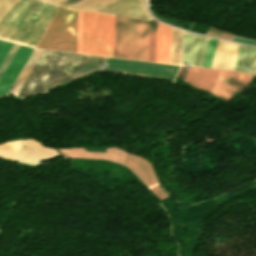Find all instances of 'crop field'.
I'll return each instance as SVG.
<instances>
[{
  "label": "crop field",
  "mask_w": 256,
  "mask_h": 256,
  "mask_svg": "<svg viewBox=\"0 0 256 256\" xmlns=\"http://www.w3.org/2000/svg\"><path fill=\"white\" fill-rule=\"evenodd\" d=\"M78 1H80V0H66V1H64V2H62L60 4L70 6V5H72V4H74V3L78 2Z\"/></svg>",
  "instance_id": "obj_25"
},
{
  "label": "crop field",
  "mask_w": 256,
  "mask_h": 256,
  "mask_svg": "<svg viewBox=\"0 0 256 256\" xmlns=\"http://www.w3.org/2000/svg\"><path fill=\"white\" fill-rule=\"evenodd\" d=\"M148 21L137 19L135 59L146 61Z\"/></svg>",
  "instance_id": "obj_15"
},
{
  "label": "crop field",
  "mask_w": 256,
  "mask_h": 256,
  "mask_svg": "<svg viewBox=\"0 0 256 256\" xmlns=\"http://www.w3.org/2000/svg\"><path fill=\"white\" fill-rule=\"evenodd\" d=\"M18 0H0V19Z\"/></svg>",
  "instance_id": "obj_22"
},
{
  "label": "crop field",
  "mask_w": 256,
  "mask_h": 256,
  "mask_svg": "<svg viewBox=\"0 0 256 256\" xmlns=\"http://www.w3.org/2000/svg\"><path fill=\"white\" fill-rule=\"evenodd\" d=\"M136 19L115 16L114 57L134 59Z\"/></svg>",
  "instance_id": "obj_7"
},
{
  "label": "crop field",
  "mask_w": 256,
  "mask_h": 256,
  "mask_svg": "<svg viewBox=\"0 0 256 256\" xmlns=\"http://www.w3.org/2000/svg\"><path fill=\"white\" fill-rule=\"evenodd\" d=\"M249 68L253 69L249 70ZM232 70L256 75V48L239 45Z\"/></svg>",
  "instance_id": "obj_14"
},
{
  "label": "crop field",
  "mask_w": 256,
  "mask_h": 256,
  "mask_svg": "<svg viewBox=\"0 0 256 256\" xmlns=\"http://www.w3.org/2000/svg\"><path fill=\"white\" fill-rule=\"evenodd\" d=\"M18 48H19V45L13 44L12 48L10 49V51L8 52L7 56L5 57L4 61L0 66V77L2 76L3 72L7 68L8 64L10 63L11 59L13 58Z\"/></svg>",
  "instance_id": "obj_21"
},
{
  "label": "crop field",
  "mask_w": 256,
  "mask_h": 256,
  "mask_svg": "<svg viewBox=\"0 0 256 256\" xmlns=\"http://www.w3.org/2000/svg\"><path fill=\"white\" fill-rule=\"evenodd\" d=\"M146 1H147L148 5H149V7H150V1H151V0H146Z\"/></svg>",
  "instance_id": "obj_27"
},
{
  "label": "crop field",
  "mask_w": 256,
  "mask_h": 256,
  "mask_svg": "<svg viewBox=\"0 0 256 256\" xmlns=\"http://www.w3.org/2000/svg\"><path fill=\"white\" fill-rule=\"evenodd\" d=\"M233 41H238V42H243V43H248V44H252V45H256V42L253 41H249V40H244V39H239V38H232Z\"/></svg>",
  "instance_id": "obj_24"
},
{
  "label": "crop field",
  "mask_w": 256,
  "mask_h": 256,
  "mask_svg": "<svg viewBox=\"0 0 256 256\" xmlns=\"http://www.w3.org/2000/svg\"><path fill=\"white\" fill-rule=\"evenodd\" d=\"M77 9L59 6L37 48L75 52Z\"/></svg>",
  "instance_id": "obj_4"
},
{
  "label": "crop field",
  "mask_w": 256,
  "mask_h": 256,
  "mask_svg": "<svg viewBox=\"0 0 256 256\" xmlns=\"http://www.w3.org/2000/svg\"><path fill=\"white\" fill-rule=\"evenodd\" d=\"M156 21L149 20L147 61L154 62Z\"/></svg>",
  "instance_id": "obj_19"
},
{
  "label": "crop field",
  "mask_w": 256,
  "mask_h": 256,
  "mask_svg": "<svg viewBox=\"0 0 256 256\" xmlns=\"http://www.w3.org/2000/svg\"><path fill=\"white\" fill-rule=\"evenodd\" d=\"M114 16L78 9L76 52L113 57Z\"/></svg>",
  "instance_id": "obj_3"
},
{
  "label": "crop field",
  "mask_w": 256,
  "mask_h": 256,
  "mask_svg": "<svg viewBox=\"0 0 256 256\" xmlns=\"http://www.w3.org/2000/svg\"><path fill=\"white\" fill-rule=\"evenodd\" d=\"M252 76L221 70L212 94L227 101L237 91H241Z\"/></svg>",
  "instance_id": "obj_8"
},
{
  "label": "crop field",
  "mask_w": 256,
  "mask_h": 256,
  "mask_svg": "<svg viewBox=\"0 0 256 256\" xmlns=\"http://www.w3.org/2000/svg\"><path fill=\"white\" fill-rule=\"evenodd\" d=\"M33 49L20 46L8 68L0 79V96L7 94Z\"/></svg>",
  "instance_id": "obj_10"
},
{
  "label": "crop field",
  "mask_w": 256,
  "mask_h": 256,
  "mask_svg": "<svg viewBox=\"0 0 256 256\" xmlns=\"http://www.w3.org/2000/svg\"><path fill=\"white\" fill-rule=\"evenodd\" d=\"M181 30L172 27L171 63L180 64Z\"/></svg>",
  "instance_id": "obj_18"
},
{
  "label": "crop field",
  "mask_w": 256,
  "mask_h": 256,
  "mask_svg": "<svg viewBox=\"0 0 256 256\" xmlns=\"http://www.w3.org/2000/svg\"><path fill=\"white\" fill-rule=\"evenodd\" d=\"M12 44L0 40V64L6 56L7 52L11 48Z\"/></svg>",
  "instance_id": "obj_23"
},
{
  "label": "crop field",
  "mask_w": 256,
  "mask_h": 256,
  "mask_svg": "<svg viewBox=\"0 0 256 256\" xmlns=\"http://www.w3.org/2000/svg\"><path fill=\"white\" fill-rule=\"evenodd\" d=\"M219 71L220 70L215 69L191 67L184 81L211 93Z\"/></svg>",
  "instance_id": "obj_11"
},
{
  "label": "crop field",
  "mask_w": 256,
  "mask_h": 256,
  "mask_svg": "<svg viewBox=\"0 0 256 256\" xmlns=\"http://www.w3.org/2000/svg\"><path fill=\"white\" fill-rule=\"evenodd\" d=\"M179 66L108 58L103 70L154 78L174 79Z\"/></svg>",
  "instance_id": "obj_5"
},
{
  "label": "crop field",
  "mask_w": 256,
  "mask_h": 256,
  "mask_svg": "<svg viewBox=\"0 0 256 256\" xmlns=\"http://www.w3.org/2000/svg\"><path fill=\"white\" fill-rule=\"evenodd\" d=\"M42 50L35 49L32 56L30 57L29 61L27 62L25 68L23 69L22 73L20 74L18 80L16 81L15 85L13 86L10 93L16 95L18 90L20 89L22 83L24 82L25 78L27 77L28 73L30 72L31 68L33 67L34 63L38 59L39 55L41 54Z\"/></svg>",
  "instance_id": "obj_16"
},
{
  "label": "crop field",
  "mask_w": 256,
  "mask_h": 256,
  "mask_svg": "<svg viewBox=\"0 0 256 256\" xmlns=\"http://www.w3.org/2000/svg\"><path fill=\"white\" fill-rule=\"evenodd\" d=\"M109 0H81L72 7L91 10ZM93 10L148 20L150 15L143 0H111Z\"/></svg>",
  "instance_id": "obj_6"
},
{
  "label": "crop field",
  "mask_w": 256,
  "mask_h": 256,
  "mask_svg": "<svg viewBox=\"0 0 256 256\" xmlns=\"http://www.w3.org/2000/svg\"><path fill=\"white\" fill-rule=\"evenodd\" d=\"M209 38L183 32L182 65H203Z\"/></svg>",
  "instance_id": "obj_9"
},
{
  "label": "crop field",
  "mask_w": 256,
  "mask_h": 256,
  "mask_svg": "<svg viewBox=\"0 0 256 256\" xmlns=\"http://www.w3.org/2000/svg\"><path fill=\"white\" fill-rule=\"evenodd\" d=\"M58 5L19 0L0 21V39L36 48Z\"/></svg>",
  "instance_id": "obj_1"
},
{
  "label": "crop field",
  "mask_w": 256,
  "mask_h": 256,
  "mask_svg": "<svg viewBox=\"0 0 256 256\" xmlns=\"http://www.w3.org/2000/svg\"><path fill=\"white\" fill-rule=\"evenodd\" d=\"M106 60L107 58H104V57L89 56L85 65L83 66L80 73L78 74L77 78L85 76L91 72L100 70Z\"/></svg>",
  "instance_id": "obj_17"
},
{
  "label": "crop field",
  "mask_w": 256,
  "mask_h": 256,
  "mask_svg": "<svg viewBox=\"0 0 256 256\" xmlns=\"http://www.w3.org/2000/svg\"><path fill=\"white\" fill-rule=\"evenodd\" d=\"M46 1H49V2H51V3L58 4V3H60V2H62V1H64V0H46Z\"/></svg>",
  "instance_id": "obj_26"
},
{
  "label": "crop field",
  "mask_w": 256,
  "mask_h": 256,
  "mask_svg": "<svg viewBox=\"0 0 256 256\" xmlns=\"http://www.w3.org/2000/svg\"><path fill=\"white\" fill-rule=\"evenodd\" d=\"M217 41L218 40H216V39L210 38L203 67H207V68L211 67V63H212V59H213L214 52L216 49Z\"/></svg>",
  "instance_id": "obj_20"
},
{
  "label": "crop field",
  "mask_w": 256,
  "mask_h": 256,
  "mask_svg": "<svg viewBox=\"0 0 256 256\" xmlns=\"http://www.w3.org/2000/svg\"><path fill=\"white\" fill-rule=\"evenodd\" d=\"M87 58L86 55L43 50L16 96L22 98L31 93L45 92L46 87L72 80Z\"/></svg>",
  "instance_id": "obj_2"
},
{
  "label": "crop field",
  "mask_w": 256,
  "mask_h": 256,
  "mask_svg": "<svg viewBox=\"0 0 256 256\" xmlns=\"http://www.w3.org/2000/svg\"><path fill=\"white\" fill-rule=\"evenodd\" d=\"M171 28L157 22L155 62L170 63Z\"/></svg>",
  "instance_id": "obj_12"
},
{
  "label": "crop field",
  "mask_w": 256,
  "mask_h": 256,
  "mask_svg": "<svg viewBox=\"0 0 256 256\" xmlns=\"http://www.w3.org/2000/svg\"><path fill=\"white\" fill-rule=\"evenodd\" d=\"M237 46L219 40L211 68L231 70Z\"/></svg>",
  "instance_id": "obj_13"
}]
</instances>
